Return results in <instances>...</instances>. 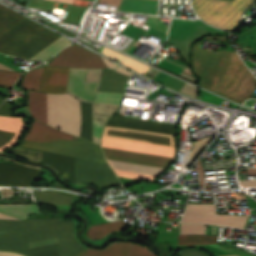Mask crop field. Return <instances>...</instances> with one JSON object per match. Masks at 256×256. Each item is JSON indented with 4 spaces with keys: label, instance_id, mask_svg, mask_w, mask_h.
<instances>
[{
    "label": "crop field",
    "instance_id": "1",
    "mask_svg": "<svg viewBox=\"0 0 256 256\" xmlns=\"http://www.w3.org/2000/svg\"><path fill=\"white\" fill-rule=\"evenodd\" d=\"M194 44L192 62L200 85L219 94L242 103L251 97L256 79L240 60L236 52H209Z\"/></svg>",
    "mask_w": 256,
    "mask_h": 256
},
{
    "label": "crop field",
    "instance_id": "2",
    "mask_svg": "<svg viewBox=\"0 0 256 256\" xmlns=\"http://www.w3.org/2000/svg\"><path fill=\"white\" fill-rule=\"evenodd\" d=\"M0 219L17 220L0 213ZM0 220V231L29 232V236L0 235V250L15 251L28 248V243L57 238L64 256H75L82 252L74 240L72 220L26 219L25 221Z\"/></svg>",
    "mask_w": 256,
    "mask_h": 256
},
{
    "label": "crop field",
    "instance_id": "3",
    "mask_svg": "<svg viewBox=\"0 0 256 256\" xmlns=\"http://www.w3.org/2000/svg\"><path fill=\"white\" fill-rule=\"evenodd\" d=\"M102 146L136 150L171 157L174 152V148L171 147L115 140L104 137H102ZM105 147H102V149L106 158L109 160L155 166L161 168H165L170 162H172V158L170 157ZM114 161H109V163L116 172L117 176L137 179H154L159 173L163 171V169L161 168L140 166Z\"/></svg>",
    "mask_w": 256,
    "mask_h": 256
},
{
    "label": "crop field",
    "instance_id": "4",
    "mask_svg": "<svg viewBox=\"0 0 256 256\" xmlns=\"http://www.w3.org/2000/svg\"><path fill=\"white\" fill-rule=\"evenodd\" d=\"M49 125L79 136L80 106L74 97L64 94H46ZM45 94L29 91L31 115L48 124ZM38 120V121H39ZM40 121V122H41Z\"/></svg>",
    "mask_w": 256,
    "mask_h": 256
},
{
    "label": "crop field",
    "instance_id": "5",
    "mask_svg": "<svg viewBox=\"0 0 256 256\" xmlns=\"http://www.w3.org/2000/svg\"><path fill=\"white\" fill-rule=\"evenodd\" d=\"M58 37L25 18L0 36V53L29 60Z\"/></svg>",
    "mask_w": 256,
    "mask_h": 256
},
{
    "label": "crop field",
    "instance_id": "6",
    "mask_svg": "<svg viewBox=\"0 0 256 256\" xmlns=\"http://www.w3.org/2000/svg\"><path fill=\"white\" fill-rule=\"evenodd\" d=\"M255 0H192V6L204 22L232 31L238 27L243 10Z\"/></svg>",
    "mask_w": 256,
    "mask_h": 256
},
{
    "label": "crop field",
    "instance_id": "7",
    "mask_svg": "<svg viewBox=\"0 0 256 256\" xmlns=\"http://www.w3.org/2000/svg\"><path fill=\"white\" fill-rule=\"evenodd\" d=\"M206 34H225V32L208 25H204L200 20L186 21L173 19L168 39L189 64L190 45Z\"/></svg>",
    "mask_w": 256,
    "mask_h": 256
},
{
    "label": "crop field",
    "instance_id": "8",
    "mask_svg": "<svg viewBox=\"0 0 256 256\" xmlns=\"http://www.w3.org/2000/svg\"><path fill=\"white\" fill-rule=\"evenodd\" d=\"M19 146L72 155L80 158L106 163L100 147L83 139L47 143H38L23 140V142Z\"/></svg>",
    "mask_w": 256,
    "mask_h": 256
},
{
    "label": "crop field",
    "instance_id": "9",
    "mask_svg": "<svg viewBox=\"0 0 256 256\" xmlns=\"http://www.w3.org/2000/svg\"><path fill=\"white\" fill-rule=\"evenodd\" d=\"M248 216L216 215V205L187 204L182 223H209L244 229Z\"/></svg>",
    "mask_w": 256,
    "mask_h": 256
},
{
    "label": "crop field",
    "instance_id": "10",
    "mask_svg": "<svg viewBox=\"0 0 256 256\" xmlns=\"http://www.w3.org/2000/svg\"><path fill=\"white\" fill-rule=\"evenodd\" d=\"M75 183H94L100 187L119 185L105 163L75 158Z\"/></svg>",
    "mask_w": 256,
    "mask_h": 256
},
{
    "label": "crop field",
    "instance_id": "11",
    "mask_svg": "<svg viewBox=\"0 0 256 256\" xmlns=\"http://www.w3.org/2000/svg\"><path fill=\"white\" fill-rule=\"evenodd\" d=\"M48 65L84 67V68H108L101 57L92 51L79 46L70 45L60 51Z\"/></svg>",
    "mask_w": 256,
    "mask_h": 256
},
{
    "label": "crop field",
    "instance_id": "12",
    "mask_svg": "<svg viewBox=\"0 0 256 256\" xmlns=\"http://www.w3.org/2000/svg\"><path fill=\"white\" fill-rule=\"evenodd\" d=\"M102 136L175 147V136L159 133L106 126Z\"/></svg>",
    "mask_w": 256,
    "mask_h": 256
},
{
    "label": "crop field",
    "instance_id": "13",
    "mask_svg": "<svg viewBox=\"0 0 256 256\" xmlns=\"http://www.w3.org/2000/svg\"><path fill=\"white\" fill-rule=\"evenodd\" d=\"M41 173L25 166L0 163V185L30 186Z\"/></svg>",
    "mask_w": 256,
    "mask_h": 256
},
{
    "label": "crop field",
    "instance_id": "14",
    "mask_svg": "<svg viewBox=\"0 0 256 256\" xmlns=\"http://www.w3.org/2000/svg\"><path fill=\"white\" fill-rule=\"evenodd\" d=\"M107 125L176 135V125L113 115Z\"/></svg>",
    "mask_w": 256,
    "mask_h": 256
},
{
    "label": "crop field",
    "instance_id": "15",
    "mask_svg": "<svg viewBox=\"0 0 256 256\" xmlns=\"http://www.w3.org/2000/svg\"><path fill=\"white\" fill-rule=\"evenodd\" d=\"M86 69H70L67 91L82 101L94 102L100 82L83 83Z\"/></svg>",
    "mask_w": 256,
    "mask_h": 256
},
{
    "label": "crop field",
    "instance_id": "16",
    "mask_svg": "<svg viewBox=\"0 0 256 256\" xmlns=\"http://www.w3.org/2000/svg\"><path fill=\"white\" fill-rule=\"evenodd\" d=\"M69 69L46 66L43 69L39 91L62 93L66 90Z\"/></svg>",
    "mask_w": 256,
    "mask_h": 256
},
{
    "label": "crop field",
    "instance_id": "17",
    "mask_svg": "<svg viewBox=\"0 0 256 256\" xmlns=\"http://www.w3.org/2000/svg\"><path fill=\"white\" fill-rule=\"evenodd\" d=\"M73 137L74 136L72 135L55 130L38 121H35L25 139L38 142H46L73 139Z\"/></svg>",
    "mask_w": 256,
    "mask_h": 256
},
{
    "label": "crop field",
    "instance_id": "18",
    "mask_svg": "<svg viewBox=\"0 0 256 256\" xmlns=\"http://www.w3.org/2000/svg\"><path fill=\"white\" fill-rule=\"evenodd\" d=\"M41 162L51 165L69 180H74V157L42 151Z\"/></svg>",
    "mask_w": 256,
    "mask_h": 256
},
{
    "label": "crop field",
    "instance_id": "19",
    "mask_svg": "<svg viewBox=\"0 0 256 256\" xmlns=\"http://www.w3.org/2000/svg\"><path fill=\"white\" fill-rule=\"evenodd\" d=\"M23 127L21 118L0 116V150L11 144Z\"/></svg>",
    "mask_w": 256,
    "mask_h": 256
},
{
    "label": "crop field",
    "instance_id": "20",
    "mask_svg": "<svg viewBox=\"0 0 256 256\" xmlns=\"http://www.w3.org/2000/svg\"><path fill=\"white\" fill-rule=\"evenodd\" d=\"M128 76L113 70L103 69L102 79L98 91L122 93Z\"/></svg>",
    "mask_w": 256,
    "mask_h": 256
},
{
    "label": "crop field",
    "instance_id": "21",
    "mask_svg": "<svg viewBox=\"0 0 256 256\" xmlns=\"http://www.w3.org/2000/svg\"><path fill=\"white\" fill-rule=\"evenodd\" d=\"M158 0H122L119 11L156 15Z\"/></svg>",
    "mask_w": 256,
    "mask_h": 256
},
{
    "label": "crop field",
    "instance_id": "22",
    "mask_svg": "<svg viewBox=\"0 0 256 256\" xmlns=\"http://www.w3.org/2000/svg\"><path fill=\"white\" fill-rule=\"evenodd\" d=\"M132 243L113 242L103 250L87 249L77 256H126Z\"/></svg>",
    "mask_w": 256,
    "mask_h": 256
},
{
    "label": "crop field",
    "instance_id": "23",
    "mask_svg": "<svg viewBox=\"0 0 256 256\" xmlns=\"http://www.w3.org/2000/svg\"><path fill=\"white\" fill-rule=\"evenodd\" d=\"M101 53L131 67L133 70L137 71V72H140L142 74H144L146 71H148L150 69V67L136 61V60H133L129 57H126L124 55H121L117 52H114L106 47H102V51Z\"/></svg>",
    "mask_w": 256,
    "mask_h": 256
},
{
    "label": "crop field",
    "instance_id": "24",
    "mask_svg": "<svg viewBox=\"0 0 256 256\" xmlns=\"http://www.w3.org/2000/svg\"><path fill=\"white\" fill-rule=\"evenodd\" d=\"M125 224L126 222L124 221H116L106 224L94 225L90 227L87 236L98 240L114 230H121Z\"/></svg>",
    "mask_w": 256,
    "mask_h": 256
},
{
    "label": "crop field",
    "instance_id": "25",
    "mask_svg": "<svg viewBox=\"0 0 256 256\" xmlns=\"http://www.w3.org/2000/svg\"><path fill=\"white\" fill-rule=\"evenodd\" d=\"M81 133L80 136L92 141V114H91V104L81 102Z\"/></svg>",
    "mask_w": 256,
    "mask_h": 256
},
{
    "label": "crop field",
    "instance_id": "26",
    "mask_svg": "<svg viewBox=\"0 0 256 256\" xmlns=\"http://www.w3.org/2000/svg\"><path fill=\"white\" fill-rule=\"evenodd\" d=\"M40 203L70 205L72 196L57 193L55 191L35 192Z\"/></svg>",
    "mask_w": 256,
    "mask_h": 256
},
{
    "label": "crop field",
    "instance_id": "27",
    "mask_svg": "<svg viewBox=\"0 0 256 256\" xmlns=\"http://www.w3.org/2000/svg\"><path fill=\"white\" fill-rule=\"evenodd\" d=\"M0 212L25 219L27 213H40L37 205H0Z\"/></svg>",
    "mask_w": 256,
    "mask_h": 256
},
{
    "label": "crop field",
    "instance_id": "28",
    "mask_svg": "<svg viewBox=\"0 0 256 256\" xmlns=\"http://www.w3.org/2000/svg\"><path fill=\"white\" fill-rule=\"evenodd\" d=\"M23 18L24 17L0 5V35Z\"/></svg>",
    "mask_w": 256,
    "mask_h": 256
},
{
    "label": "crop field",
    "instance_id": "29",
    "mask_svg": "<svg viewBox=\"0 0 256 256\" xmlns=\"http://www.w3.org/2000/svg\"><path fill=\"white\" fill-rule=\"evenodd\" d=\"M217 236L178 235V245H208L216 243Z\"/></svg>",
    "mask_w": 256,
    "mask_h": 256
},
{
    "label": "crop field",
    "instance_id": "30",
    "mask_svg": "<svg viewBox=\"0 0 256 256\" xmlns=\"http://www.w3.org/2000/svg\"><path fill=\"white\" fill-rule=\"evenodd\" d=\"M68 44H69V41L61 37L57 41H55L53 44L48 46L46 49H44L42 52H40L35 57H33L31 60L46 61L50 59L58 50H60L62 47Z\"/></svg>",
    "mask_w": 256,
    "mask_h": 256
},
{
    "label": "crop field",
    "instance_id": "31",
    "mask_svg": "<svg viewBox=\"0 0 256 256\" xmlns=\"http://www.w3.org/2000/svg\"><path fill=\"white\" fill-rule=\"evenodd\" d=\"M18 253L25 254L27 256H62L59 245H51L31 250L17 251Z\"/></svg>",
    "mask_w": 256,
    "mask_h": 256
},
{
    "label": "crop field",
    "instance_id": "32",
    "mask_svg": "<svg viewBox=\"0 0 256 256\" xmlns=\"http://www.w3.org/2000/svg\"><path fill=\"white\" fill-rule=\"evenodd\" d=\"M42 69H43V67L35 68V69H32V70L26 72L22 86L25 89L38 90L39 84H40V79H41V74H42Z\"/></svg>",
    "mask_w": 256,
    "mask_h": 256
},
{
    "label": "crop field",
    "instance_id": "33",
    "mask_svg": "<svg viewBox=\"0 0 256 256\" xmlns=\"http://www.w3.org/2000/svg\"><path fill=\"white\" fill-rule=\"evenodd\" d=\"M121 100H122V95L97 92L94 103L119 105Z\"/></svg>",
    "mask_w": 256,
    "mask_h": 256
},
{
    "label": "crop field",
    "instance_id": "34",
    "mask_svg": "<svg viewBox=\"0 0 256 256\" xmlns=\"http://www.w3.org/2000/svg\"><path fill=\"white\" fill-rule=\"evenodd\" d=\"M19 73L0 71V86L12 88V84L17 80Z\"/></svg>",
    "mask_w": 256,
    "mask_h": 256
},
{
    "label": "crop field",
    "instance_id": "35",
    "mask_svg": "<svg viewBox=\"0 0 256 256\" xmlns=\"http://www.w3.org/2000/svg\"><path fill=\"white\" fill-rule=\"evenodd\" d=\"M158 20V17L148 16L144 24L166 34L169 25H163V21Z\"/></svg>",
    "mask_w": 256,
    "mask_h": 256
},
{
    "label": "crop field",
    "instance_id": "36",
    "mask_svg": "<svg viewBox=\"0 0 256 256\" xmlns=\"http://www.w3.org/2000/svg\"><path fill=\"white\" fill-rule=\"evenodd\" d=\"M206 225H183L181 224V234H205Z\"/></svg>",
    "mask_w": 256,
    "mask_h": 256
},
{
    "label": "crop field",
    "instance_id": "37",
    "mask_svg": "<svg viewBox=\"0 0 256 256\" xmlns=\"http://www.w3.org/2000/svg\"><path fill=\"white\" fill-rule=\"evenodd\" d=\"M127 256H156V255L150 252L147 248L133 243V246Z\"/></svg>",
    "mask_w": 256,
    "mask_h": 256
},
{
    "label": "crop field",
    "instance_id": "38",
    "mask_svg": "<svg viewBox=\"0 0 256 256\" xmlns=\"http://www.w3.org/2000/svg\"><path fill=\"white\" fill-rule=\"evenodd\" d=\"M102 69H87L84 82L100 81Z\"/></svg>",
    "mask_w": 256,
    "mask_h": 256
},
{
    "label": "crop field",
    "instance_id": "39",
    "mask_svg": "<svg viewBox=\"0 0 256 256\" xmlns=\"http://www.w3.org/2000/svg\"><path fill=\"white\" fill-rule=\"evenodd\" d=\"M178 256H207V255L199 251L187 249V250H182Z\"/></svg>",
    "mask_w": 256,
    "mask_h": 256
},
{
    "label": "crop field",
    "instance_id": "40",
    "mask_svg": "<svg viewBox=\"0 0 256 256\" xmlns=\"http://www.w3.org/2000/svg\"><path fill=\"white\" fill-rule=\"evenodd\" d=\"M56 243H58L56 239L37 242V243H31V244H29V249L36 248V247H41V246H46V245H51V244H56Z\"/></svg>",
    "mask_w": 256,
    "mask_h": 256
},
{
    "label": "crop field",
    "instance_id": "41",
    "mask_svg": "<svg viewBox=\"0 0 256 256\" xmlns=\"http://www.w3.org/2000/svg\"><path fill=\"white\" fill-rule=\"evenodd\" d=\"M12 109L10 102L5 101V103L0 107V115H9Z\"/></svg>",
    "mask_w": 256,
    "mask_h": 256
},
{
    "label": "crop field",
    "instance_id": "42",
    "mask_svg": "<svg viewBox=\"0 0 256 256\" xmlns=\"http://www.w3.org/2000/svg\"><path fill=\"white\" fill-rule=\"evenodd\" d=\"M196 164H197L198 172H199V186H204V174H203V170H202V167H201L199 159L196 162Z\"/></svg>",
    "mask_w": 256,
    "mask_h": 256
},
{
    "label": "crop field",
    "instance_id": "43",
    "mask_svg": "<svg viewBox=\"0 0 256 256\" xmlns=\"http://www.w3.org/2000/svg\"><path fill=\"white\" fill-rule=\"evenodd\" d=\"M241 186H256V180L240 181Z\"/></svg>",
    "mask_w": 256,
    "mask_h": 256
},
{
    "label": "crop field",
    "instance_id": "44",
    "mask_svg": "<svg viewBox=\"0 0 256 256\" xmlns=\"http://www.w3.org/2000/svg\"><path fill=\"white\" fill-rule=\"evenodd\" d=\"M99 3L119 5L120 0H100Z\"/></svg>",
    "mask_w": 256,
    "mask_h": 256
},
{
    "label": "crop field",
    "instance_id": "45",
    "mask_svg": "<svg viewBox=\"0 0 256 256\" xmlns=\"http://www.w3.org/2000/svg\"><path fill=\"white\" fill-rule=\"evenodd\" d=\"M0 256H22L12 252H0Z\"/></svg>",
    "mask_w": 256,
    "mask_h": 256
},
{
    "label": "crop field",
    "instance_id": "46",
    "mask_svg": "<svg viewBox=\"0 0 256 256\" xmlns=\"http://www.w3.org/2000/svg\"><path fill=\"white\" fill-rule=\"evenodd\" d=\"M226 38H227V36H221V37H218V36H214V37L208 36L206 39L226 40Z\"/></svg>",
    "mask_w": 256,
    "mask_h": 256
},
{
    "label": "crop field",
    "instance_id": "47",
    "mask_svg": "<svg viewBox=\"0 0 256 256\" xmlns=\"http://www.w3.org/2000/svg\"><path fill=\"white\" fill-rule=\"evenodd\" d=\"M247 175H256V169H246Z\"/></svg>",
    "mask_w": 256,
    "mask_h": 256
},
{
    "label": "crop field",
    "instance_id": "48",
    "mask_svg": "<svg viewBox=\"0 0 256 256\" xmlns=\"http://www.w3.org/2000/svg\"><path fill=\"white\" fill-rule=\"evenodd\" d=\"M0 234L28 235V233H12V232H0Z\"/></svg>",
    "mask_w": 256,
    "mask_h": 256
},
{
    "label": "crop field",
    "instance_id": "49",
    "mask_svg": "<svg viewBox=\"0 0 256 256\" xmlns=\"http://www.w3.org/2000/svg\"><path fill=\"white\" fill-rule=\"evenodd\" d=\"M57 1L65 2V3H70V4L73 3V0H57Z\"/></svg>",
    "mask_w": 256,
    "mask_h": 256
},
{
    "label": "crop field",
    "instance_id": "50",
    "mask_svg": "<svg viewBox=\"0 0 256 256\" xmlns=\"http://www.w3.org/2000/svg\"><path fill=\"white\" fill-rule=\"evenodd\" d=\"M4 99L0 98V105L3 103Z\"/></svg>",
    "mask_w": 256,
    "mask_h": 256
}]
</instances>
